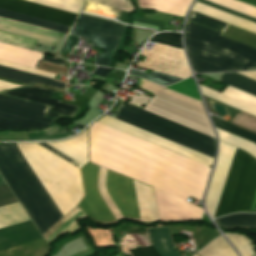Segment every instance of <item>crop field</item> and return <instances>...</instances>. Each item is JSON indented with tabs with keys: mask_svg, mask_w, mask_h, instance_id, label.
Instances as JSON below:
<instances>
[{
	"mask_svg": "<svg viewBox=\"0 0 256 256\" xmlns=\"http://www.w3.org/2000/svg\"><path fill=\"white\" fill-rule=\"evenodd\" d=\"M4 90H5V89H1V88H0V91H4Z\"/></svg>",
	"mask_w": 256,
	"mask_h": 256,
	"instance_id": "425ffa30",
	"label": "crop field"
},
{
	"mask_svg": "<svg viewBox=\"0 0 256 256\" xmlns=\"http://www.w3.org/2000/svg\"><path fill=\"white\" fill-rule=\"evenodd\" d=\"M185 46L196 72L256 70V49L188 24Z\"/></svg>",
	"mask_w": 256,
	"mask_h": 256,
	"instance_id": "f4fd0767",
	"label": "crop field"
},
{
	"mask_svg": "<svg viewBox=\"0 0 256 256\" xmlns=\"http://www.w3.org/2000/svg\"><path fill=\"white\" fill-rule=\"evenodd\" d=\"M195 23L201 24L203 26L209 27L211 29L217 30L219 32L224 33L225 30L228 28L229 24L220 22L218 20L209 18L207 16L198 14L196 12H192L191 17L189 19Z\"/></svg>",
	"mask_w": 256,
	"mask_h": 256,
	"instance_id": "750c4746",
	"label": "crop field"
},
{
	"mask_svg": "<svg viewBox=\"0 0 256 256\" xmlns=\"http://www.w3.org/2000/svg\"><path fill=\"white\" fill-rule=\"evenodd\" d=\"M80 172L85 193V197L79 203L82 212L88 219L98 224L114 223V218L101 200L96 189L98 167L87 162L80 169Z\"/></svg>",
	"mask_w": 256,
	"mask_h": 256,
	"instance_id": "3316defc",
	"label": "crop field"
},
{
	"mask_svg": "<svg viewBox=\"0 0 256 256\" xmlns=\"http://www.w3.org/2000/svg\"><path fill=\"white\" fill-rule=\"evenodd\" d=\"M46 6H50L53 8L79 13L82 0H26Z\"/></svg>",
	"mask_w": 256,
	"mask_h": 256,
	"instance_id": "eef30255",
	"label": "crop field"
},
{
	"mask_svg": "<svg viewBox=\"0 0 256 256\" xmlns=\"http://www.w3.org/2000/svg\"><path fill=\"white\" fill-rule=\"evenodd\" d=\"M193 10L199 13L205 14L207 16L216 18L218 20L224 21L231 25L237 26L239 28L256 33V24L240 19L238 17L232 16L230 14L224 13L222 11L216 10L214 8L208 7L206 5L200 4L198 2H196Z\"/></svg>",
	"mask_w": 256,
	"mask_h": 256,
	"instance_id": "bc2a9ffb",
	"label": "crop field"
},
{
	"mask_svg": "<svg viewBox=\"0 0 256 256\" xmlns=\"http://www.w3.org/2000/svg\"><path fill=\"white\" fill-rule=\"evenodd\" d=\"M17 145L65 216L84 196L79 169L35 143ZM17 145H0V173L43 234L64 216Z\"/></svg>",
	"mask_w": 256,
	"mask_h": 256,
	"instance_id": "ac0d7876",
	"label": "crop field"
},
{
	"mask_svg": "<svg viewBox=\"0 0 256 256\" xmlns=\"http://www.w3.org/2000/svg\"><path fill=\"white\" fill-rule=\"evenodd\" d=\"M90 134L178 171L207 181V166L95 122ZM90 135V160L153 186L160 220L201 219L203 210L187 201L200 200L206 183Z\"/></svg>",
	"mask_w": 256,
	"mask_h": 256,
	"instance_id": "8a807250",
	"label": "crop field"
},
{
	"mask_svg": "<svg viewBox=\"0 0 256 256\" xmlns=\"http://www.w3.org/2000/svg\"><path fill=\"white\" fill-rule=\"evenodd\" d=\"M62 33L0 17V41L34 49L37 42L55 47Z\"/></svg>",
	"mask_w": 256,
	"mask_h": 256,
	"instance_id": "5a996713",
	"label": "crop field"
},
{
	"mask_svg": "<svg viewBox=\"0 0 256 256\" xmlns=\"http://www.w3.org/2000/svg\"><path fill=\"white\" fill-rule=\"evenodd\" d=\"M0 8L35 16L72 26L77 14L26 2L23 0H0Z\"/></svg>",
	"mask_w": 256,
	"mask_h": 256,
	"instance_id": "d1516ede",
	"label": "crop field"
},
{
	"mask_svg": "<svg viewBox=\"0 0 256 256\" xmlns=\"http://www.w3.org/2000/svg\"><path fill=\"white\" fill-rule=\"evenodd\" d=\"M1 185H5V182L0 177V186ZM12 202H16V199L14 198L8 187L6 185L1 186L0 206ZM25 220H29V217L26 215L18 202L0 207V228Z\"/></svg>",
	"mask_w": 256,
	"mask_h": 256,
	"instance_id": "5142ce71",
	"label": "crop field"
},
{
	"mask_svg": "<svg viewBox=\"0 0 256 256\" xmlns=\"http://www.w3.org/2000/svg\"><path fill=\"white\" fill-rule=\"evenodd\" d=\"M189 24L194 25V26H197V27H199V28L205 29V30H207V31H210V32H212V33H215V34H218V35L222 36V33H219V32H216V31H213V30H210V29H207V28H205V27H202V26H199V25L190 23V22H189Z\"/></svg>",
	"mask_w": 256,
	"mask_h": 256,
	"instance_id": "b54c1fbb",
	"label": "crop field"
},
{
	"mask_svg": "<svg viewBox=\"0 0 256 256\" xmlns=\"http://www.w3.org/2000/svg\"><path fill=\"white\" fill-rule=\"evenodd\" d=\"M129 73L144 77L146 79L152 80V81H154L158 84H161V85H168V84L175 83L179 80H182V79L167 76V75L160 74V73L153 72V71L150 73V75H147V74H144V73H141V72H137V71H133V70H130Z\"/></svg>",
	"mask_w": 256,
	"mask_h": 256,
	"instance_id": "1d83c4d3",
	"label": "crop field"
},
{
	"mask_svg": "<svg viewBox=\"0 0 256 256\" xmlns=\"http://www.w3.org/2000/svg\"><path fill=\"white\" fill-rule=\"evenodd\" d=\"M239 74H242L246 77L256 80V72H241Z\"/></svg>",
	"mask_w": 256,
	"mask_h": 256,
	"instance_id": "03da06ac",
	"label": "crop field"
},
{
	"mask_svg": "<svg viewBox=\"0 0 256 256\" xmlns=\"http://www.w3.org/2000/svg\"><path fill=\"white\" fill-rule=\"evenodd\" d=\"M78 38L77 37H74V36H68L61 52L62 53H68V54H71L76 42H77Z\"/></svg>",
	"mask_w": 256,
	"mask_h": 256,
	"instance_id": "e1f06a70",
	"label": "crop field"
},
{
	"mask_svg": "<svg viewBox=\"0 0 256 256\" xmlns=\"http://www.w3.org/2000/svg\"><path fill=\"white\" fill-rule=\"evenodd\" d=\"M216 131L218 133L220 141H223L225 143H228V144H231V145L236 146L238 148H241V149L247 151L248 153H250L252 156H254L256 158V145H254L250 142H247L243 139H240L238 137H235L233 135H230L228 133H225L221 130L216 129Z\"/></svg>",
	"mask_w": 256,
	"mask_h": 256,
	"instance_id": "ae1a2a85",
	"label": "crop field"
},
{
	"mask_svg": "<svg viewBox=\"0 0 256 256\" xmlns=\"http://www.w3.org/2000/svg\"><path fill=\"white\" fill-rule=\"evenodd\" d=\"M141 87L154 92L156 96L205 115L202 103L198 100L146 81L143 82ZM156 96L148 102L144 110L215 137L212 127L207 117H205L206 115H200ZM144 110L122 103L116 119L195 149L211 157L214 156V138ZM116 119L105 115L98 122L211 167L213 158Z\"/></svg>",
	"mask_w": 256,
	"mask_h": 256,
	"instance_id": "34b2d1b8",
	"label": "crop field"
},
{
	"mask_svg": "<svg viewBox=\"0 0 256 256\" xmlns=\"http://www.w3.org/2000/svg\"><path fill=\"white\" fill-rule=\"evenodd\" d=\"M41 239L31 220L0 229V251ZM43 239L0 252V256H47Z\"/></svg>",
	"mask_w": 256,
	"mask_h": 256,
	"instance_id": "e52e79f7",
	"label": "crop field"
},
{
	"mask_svg": "<svg viewBox=\"0 0 256 256\" xmlns=\"http://www.w3.org/2000/svg\"><path fill=\"white\" fill-rule=\"evenodd\" d=\"M0 65L16 68V69H19V70L35 73V74H38V75H42V76H46V77H50V78H54V79L57 76L56 74H52V73H48V72H44V71H40V70L28 68V67L16 65V64L4 62V61H0Z\"/></svg>",
	"mask_w": 256,
	"mask_h": 256,
	"instance_id": "d32e631a",
	"label": "crop field"
},
{
	"mask_svg": "<svg viewBox=\"0 0 256 256\" xmlns=\"http://www.w3.org/2000/svg\"><path fill=\"white\" fill-rule=\"evenodd\" d=\"M236 148L220 142L218 157L205 203L213 218ZM256 204V160L236 150L214 217L253 212Z\"/></svg>",
	"mask_w": 256,
	"mask_h": 256,
	"instance_id": "412701ff",
	"label": "crop field"
},
{
	"mask_svg": "<svg viewBox=\"0 0 256 256\" xmlns=\"http://www.w3.org/2000/svg\"><path fill=\"white\" fill-rule=\"evenodd\" d=\"M79 211H81V210L78 208V206L76 208H74L70 213H68L64 218H62L58 223H56L52 228H50L46 233H44L42 235L43 238L46 237L48 234H50L52 231H54L56 228H58L60 225L65 223L67 220H69L71 217H73Z\"/></svg>",
	"mask_w": 256,
	"mask_h": 256,
	"instance_id": "028f5c9d",
	"label": "crop field"
},
{
	"mask_svg": "<svg viewBox=\"0 0 256 256\" xmlns=\"http://www.w3.org/2000/svg\"><path fill=\"white\" fill-rule=\"evenodd\" d=\"M191 1L192 0H138V6L184 17Z\"/></svg>",
	"mask_w": 256,
	"mask_h": 256,
	"instance_id": "4a817a6b",
	"label": "crop field"
},
{
	"mask_svg": "<svg viewBox=\"0 0 256 256\" xmlns=\"http://www.w3.org/2000/svg\"><path fill=\"white\" fill-rule=\"evenodd\" d=\"M207 1H208V0H207ZM207 1H205V0H199V2H202V3H204V4H207V5H210V6H212V7L221 9V10L226 11V12H229V13H231V14L240 16V17L245 18V19H248V20H250V21L256 22V19H254V18H251V17H248V16H246V15L240 14V13H238V12L229 10V9H227V8L218 6V5H216V4L210 3L211 1H210V2H207ZM239 1L248 3V4L253 5V6H256V1H254V0H239Z\"/></svg>",
	"mask_w": 256,
	"mask_h": 256,
	"instance_id": "5866460e",
	"label": "crop field"
},
{
	"mask_svg": "<svg viewBox=\"0 0 256 256\" xmlns=\"http://www.w3.org/2000/svg\"><path fill=\"white\" fill-rule=\"evenodd\" d=\"M219 81L256 96V82L237 73H222Z\"/></svg>",
	"mask_w": 256,
	"mask_h": 256,
	"instance_id": "a9b5d70f",
	"label": "crop field"
},
{
	"mask_svg": "<svg viewBox=\"0 0 256 256\" xmlns=\"http://www.w3.org/2000/svg\"><path fill=\"white\" fill-rule=\"evenodd\" d=\"M49 108L48 106L0 95V111L53 123L55 120L43 118Z\"/></svg>",
	"mask_w": 256,
	"mask_h": 256,
	"instance_id": "cbeb9de0",
	"label": "crop field"
},
{
	"mask_svg": "<svg viewBox=\"0 0 256 256\" xmlns=\"http://www.w3.org/2000/svg\"><path fill=\"white\" fill-rule=\"evenodd\" d=\"M78 19L71 34L85 37L93 46L105 49L98 55L96 64L107 67L125 28L81 15Z\"/></svg>",
	"mask_w": 256,
	"mask_h": 256,
	"instance_id": "d8731c3e",
	"label": "crop field"
},
{
	"mask_svg": "<svg viewBox=\"0 0 256 256\" xmlns=\"http://www.w3.org/2000/svg\"><path fill=\"white\" fill-rule=\"evenodd\" d=\"M211 119H212V122H213L215 127H218V128H220L222 130H225V131H227L229 133H232V134H234V135H236L238 137H241V138H243L245 140H248V141L256 144V135H254V134H252L250 132H247L245 130H242L240 128H237V127H235L233 125H230L228 123H225L223 121H220V120H218L216 118L211 117Z\"/></svg>",
	"mask_w": 256,
	"mask_h": 256,
	"instance_id": "d3111659",
	"label": "crop field"
},
{
	"mask_svg": "<svg viewBox=\"0 0 256 256\" xmlns=\"http://www.w3.org/2000/svg\"><path fill=\"white\" fill-rule=\"evenodd\" d=\"M133 256H160L151 245L127 247Z\"/></svg>",
	"mask_w": 256,
	"mask_h": 256,
	"instance_id": "120bbe31",
	"label": "crop field"
},
{
	"mask_svg": "<svg viewBox=\"0 0 256 256\" xmlns=\"http://www.w3.org/2000/svg\"><path fill=\"white\" fill-rule=\"evenodd\" d=\"M151 41L182 50L180 34L177 33H160L153 36Z\"/></svg>",
	"mask_w": 256,
	"mask_h": 256,
	"instance_id": "bd1437ed",
	"label": "crop field"
},
{
	"mask_svg": "<svg viewBox=\"0 0 256 256\" xmlns=\"http://www.w3.org/2000/svg\"><path fill=\"white\" fill-rule=\"evenodd\" d=\"M41 146H43L44 148L48 149L49 151L53 152L54 154L58 155L59 157H61L62 159L66 160L67 162L71 163L72 165H74L77 168H81L83 166L79 165L78 163L74 162L73 160L69 159L68 157L64 156L63 154L59 153L58 151L54 150L53 148L49 147L48 145L44 144V143H38Z\"/></svg>",
	"mask_w": 256,
	"mask_h": 256,
	"instance_id": "0bd39190",
	"label": "crop field"
},
{
	"mask_svg": "<svg viewBox=\"0 0 256 256\" xmlns=\"http://www.w3.org/2000/svg\"><path fill=\"white\" fill-rule=\"evenodd\" d=\"M43 53L0 43V59L35 68Z\"/></svg>",
	"mask_w": 256,
	"mask_h": 256,
	"instance_id": "733c2abd",
	"label": "crop field"
},
{
	"mask_svg": "<svg viewBox=\"0 0 256 256\" xmlns=\"http://www.w3.org/2000/svg\"><path fill=\"white\" fill-rule=\"evenodd\" d=\"M133 182L141 221L159 220L152 188L134 180ZM133 182L129 178L107 170V192L122 216L124 219L140 221Z\"/></svg>",
	"mask_w": 256,
	"mask_h": 256,
	"instance_id": "dd49c442",
	"label": "crop field"
},
{
	"mask_svg": "<svg viewBox=\"0 0 256 256\" xmlns=\"http://www.w3.org/2000/svg\"><path fill=\"white\" fill-rule=\"evenodd\" d=\"M46 144L83 166L88 161L87 129L69 140Z\"/></svg>",
	"mask_w": 256,
	"mask_h": 256,
	"instance_id": "d9b57169",
	"label": "crop field"
},
{
	"mask_svg": "<svg viewBox=\"0 0 256 256\" xmlns=\"http://www.w3.org/2000/svg\"><path fill=\"white\" fill-rule=\"evenodd\" d=\"M132 104H135V103L132 102ZM135 105H137V104H135ZM137 106H140V105H137ZM140 107H142V106H140Z\"/></svg>",
	"mask_w": 256,
	"mask_h": 256,
	"instance_id": "d23c7cc5",
	"label": "crop field"
},
{
	"mask_svg": "<svg viewBox=\"0 0 256 256\" xmlns=\"http://www.w3.org/2000/svg\"><path fill=\"white\" fill-rule=\"evenodd\" d=\"M26 134L28 140H53L66 138L73 135L56 124L45 130L29 131L26 132Z\"/></svg>",
	"mask_w": 256,
	"mask_h": 256,
	"instance_id": "730fd06b",
	"label": "crop field"
},
{
	"mask_svg": "<svg viewBox=\"0 0 256 256\" xmlns=\"http://www.w3.org/2000/svg\"><path fill=\"white\" fill-rule=\"evenodd\" d=\"M48 125H50V123L0 112V130L1 129H38V128L46 127Z\"/></svg>",
	"mask_w": 256,
	"mask_h": 256,
	"instance_id": "92a150f3",
	"label": "crop field"
},
{
	"mask_svg": "<svg viewBox=\"0 0 256 256\" xmlns=\"http://www.w3.org/2000/svg\"><path fill=\"white\" fill-rule=\"evenodd\" d=\"M199 87L204 95L256 116V97L229 86L222 94L200 84Z\"/></svg>",
	"mask_w": 256,
	"mask_h": 256,
	"instance_id": "22f410ed",
	"label": "crop field"
},
{
	"mask_svg": "<svg viewBox=\"0 0 256 256\" xmlns=\"http://www.w3.org/2000/svg\"><path fill=\"white\" fill-rule=\"evenodd\" d=\"M154 248L161 256H181L172 245L168 227L147 229Z\"/></svg>",
	"mask_w": 256,
	"mask_h": 256,
	"instance_id": "214f88e0",
	"label": "crop field"
},
{
	"mask_svg": "<svg viewBox=\"0 0 256 256\" xmlns=\"http://www.w3.org/2000/svg\"><path fill=\"white\" fill-rule=\"evenodd\" d=\"M215 221L224 228H256V215L234 214Z\"/></svg>",
	"mask_w": 256,
	"mask_h": 256,
	"instance_id": "4177f3b9",
	"label": "crop field"
},
{
	"mask_svg": "<svg viewBox=\"0 0 256 256\" xmlns=\"http://www.w3.org/2000/svg\"><path fill=\"white\" fill-rule=\"evenodd\" d=\"M0 94L51 106L50 110L45 115L46 118L56 119L61 116L73 117L79 109V107L51 99L54 94L53 91L33 86L4 91L0 92Z\"/></svg>",
	"mask_w": 256,
	"mask_h": 256,
	"instance_id": "28ad6ade",
	"label": "crop field"
},
{
	"mask_svg": "<svg viewBox=\"0 0 256 256\" xmlns=\"http://www.w3.org/2000/svg\"><path fill=\"white\" fill-rule=\"evenodd\" d=\"M42 61H46V62H50V63L62 65V66H64L65 64L64 61L56 60V59L45 57V56H43Z\"/></svg>",
	"mask_w": 256,
	"mask_h": 256,
	"instance_id": "c035e120",
	"label": "crop field"
},
{
	"mask_svg": "<svg viewBox=\"0 0 256 256\" xmlns=\"http://www.w3.org/2000/svg\"><path fill=\"white\" fill-rule=\"evenodd\" d=\"M0 80L6 81V82H10V83H14V84H18V85H22V86L27 85V84H23V83L15 82V81H11V80H7V79H3V78H0Z\"/></svg>",
	"mask_w": 256,
	"mask_h": 256,
	"instance_id": "5d738f31",
	"label": "crop field"
},
{
	"mask_svg": "<svg viewBox=\"0 0 256 256\" xmlns=\"http://www.w3.org/2000/svg\"><path fill=\"white\" fill-rule=\"evenodd\" d=\"M0 77H4V78L16 80V81H20L28 84L42 82V83L57 86L63 89L65 85V83L63 82L55 81L52 79L40 77L37 75L29 74L26 72L14 70V69L3 67V66H0Z\"/></svg>",
	"mask_w": 256,
	"mask_h": 256,
	"instance_id": "dafd665d",
	"label": "crop field"
},
{
	"mask_svg": "<svg viewBox=\"0 0 256 256\" xmlns=\"http://www.w3.org/2000/svg\"><path fill=\"white\" fill-rule=\"evenodd\" d=\"M0 16L5 17V18H9V19H13V20H17V21H20V22L28 23V24L40 26V27H43V28L63 32V33H66V34L68 33V31L70 29V26H66V25H62V24H58V23H54V22H50V21H46V20H42V19H38V18H35V17H31V16H27V15L15 13V12L3 10V9H0Z\"/></svg>",
	"mask_w": 256,
	"mask_h": 256,
	"instance_id": "00972430",
	"label": "crop field"
},
{
	"mask_svg": "<svg viewBox=\"0 0 256 256\" xmlns=\"http://www.w3.org/2000/svg\"><path fill=\"white\" fill-rule=\"evenodd\" d=\"M109 71H110V69L98 67L97 70L94 72V74H97V75L105 78L107 76V74L109 73Z\"/></svg>",
	"mask_w": 256,
	"mask_h": 256,
	"instance_id": "b80d0937",
	"label": "crop field"
},
{
	"mask_svg": "<svg viewBox=\"0 0 256 256\" xmlns=\"http://www.w3.org/2000/svg\"><path fill=\"white\" fill-rule=\"evenodd\" d=\"M0 87L10 89V88L20 87V86L0 81Z\"/></svg>",
	"mask_w": 256,
	"mask_h": 256,
	"instance_id": "c21b1889",
	"label": "crop field"
}]
</instances>
